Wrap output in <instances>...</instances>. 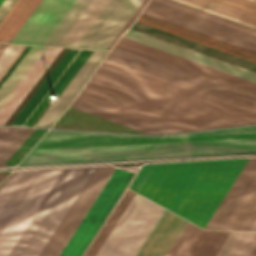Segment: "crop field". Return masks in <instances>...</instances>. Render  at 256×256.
<instances>
[{
  "label": "crop field",
  "instance_id": "obj_1",
  "mask_svg": "<svg viewBox=\"0 0 256 256\" xmlns=\"http://www.w3.org/2000/svg\"><path fill=\"white\" fill-rule=\"evenodd\" d=\"M90 81L220 127L256 123L255 107L108 56ZM90 81L77 98L172 132L217 127ZM77 98L72 102V106L148 133L169 132Z\"/></svg>",
  "mask_w": 256,
  "mask_h": 256
},
{
  "label": "crop field",
  "instance_id": "obj_2",
  "mask_svg": "<svg viewBox=\"0 0 256 256\" xmlns=\"http://www.w3.org/2000/svg\"><path fill=\"white\" fill-rule=\"evenodd\" d=\"M96 168L43 169L0 232V256H39Z\"/></svg>",
  "mask_w": 256,
  "mask_h": 256
},
{
  "label": "crop field",
  "instance_id": "obj_3",
  "mask_svg": "<svg viewBox=\"0 0 256 256\" xmlns=\"http://www.w3.org/2000/svg\"><path fill=\"white\" fill-rule=\"evenodd\" d=\"M209 161L143 165L129 189L178 210ZM256 219V158H249L204 226L249 230Z\"/></svg>",
  "mask_w": 256,
  "mask_h": 256
},
{
  "label": "crop field",
  "instance_id": "obj_4",
  "mask_svg": "<svg viewBox=\"0 0 256 256\" xmlns=\"http://www.w3.org/2000/svg\"><path fill=\"white\" fill-rule=\"evenodd\" d=\"M189 156L187 134L137 136L49 130L19 165Z\"/></svg>",
  "mask_w": 256,
  "mask_h": 256
},
{
  "label": "crop field",
  "instance_id": "obj_5",
  "mask_svg": "<svg viewBox=\"0 0 256 256\" xmlns=\"http://www.w3.org/2000/svg\"><path fill=\"white\" fill-rule=\"evenodd\" d=\"M137 170L98 166L40 256H82Z\"/></svg>",
  "mask_w": 256,
  "mask_h": 256
},
{
  "label": "crop field",
  "instance_id": "obj_6",
  "mask_svg": "<svg viewBox=\"0 0 256 256\" xmlns=\"http://www.w3.org/2000/svg\"><path fill=\"white\" fill-rule=\"evenodd\" d=\"M187 222L142 197L107 256H166ZM200 231L188 222L167 256H184Z\"/></svg>",
  "mask_w": 256,
  "mask_h": 256
},
{
  "label": "crop field",
  "instance_id": "obj_7",
  "mask_svg": "<svg viewBox=\"0 0 256 256\" xmlns=\"http://www.w3.org/2000/svg\"><path fill=\"white\" fill-rule=\"evenodd\" d=\"M246 160L210 161L176 214L203 228Z\"/></svg>",
  "mask_w": 256,
  "mask_h": 256
},
{
  "label": "crop field",
  "instance_id": "obj_8",
  "mask_svg": "<svg viewBox=\"0 0 256 256\" xmlns=\"http://www.w3.org/2000/svg\"><path fill=\"white\" fill-rule=\"evenodd\" d=\"M142 14L256 53V36L178 8L150 0Z\"/></svg>",
  "mask_w": 256,
  "mask_h": 256
},
{
  "label": "crop field",
  "instance_id": "obj_9",
  "mask_svg": "<svg viewBox=\"0 0 256 256\" xmlns=\"http://www.w3.org/2000/svg\"><path fill=\"white\" fill-rule=\"evenodd\" d=\"M92 50L69 48L11 125L29 126L52 95H59Z\"/></svg>",
  "mask_w": 256,
  "mask_h": 256
},
{
  "label": "crop field",
  "instance_id": "obj_10",
  "mask_svg": "<svg viewBox=\"0 0 256 256\" xmlns=\"http://www.w3.org/2000/svg\"><path fill=\"white\" fill-rule=\"evenodd\" d=\"M190 156L256 152V125L188 134Z\"/></svg>",
  "mask_w": 256,
  "mask_h": 256
},
{
  "label": "crop field",
  "instance_id": "obj_11",
  "mask_svg": "<svg viewBox=\"0 0 256 256\" xmlns=\"http://www.w3.org/2000/svg\"><path fill=\"white\" fill-rule=\"evenodd\" d=\"M76 0H42L11 42L43 45Z\"/></svg>",
  "mask_w": 256,
  "mask_h": 256
},
{
  "label": "crop field",
  "instance_id": "obj_12",
  "mask_svg": "<svg viewBox=\"0 0 256 256\" xmlns=\"http://www.w3.org/2000/svg\"><path fill=\"white\" fill-rule=\"evenodd\" d=\"M116 45L256 94V83L121 36Z\"/></svg>",
  "mask_w": 256,
  "mask_h": 256
},
{
  "label": "crop field",
  "instance_id": "obj_13",
  "mask_svg": "<svg viewBox=\"0 0 256 256\" xmlns=\"http://www.w3.org/2000/svg\"><path fill=\"white\" fill-rule=\"evenodd\" d=\"M108 51L93 50L36 126L49 127L70 104Z\"/></svg>",
  "mask_w": 256,
  "mask_h": 256
},
{
  "label": "crop field",
  "instance_id": "obj_14",
  "mask_svg": "<svg viewBox=\"0 0 256 256\" xmlns=\"http://www.w3.org/2000/svg\"><path fill=\"white\" fill-rule=\"evenodd\" d=\"M123 36L256 82V73L129 29Z\"/></svg>",
  "mask_w": 256,
  "mask_h": 256
},
{
  "label": "crop field",
  "instance_id": "obj_15",
  "mask_svg": "<svg viewBox=\"0 0 256 256\" xmlns=\"http://www.w3.org/2000/svg\"><path fill=\"white\" fill-rule=\"evenodd\" d=\"M41 171L42 169L13 172L0 186V230Z\"/></svg>",
  "mask_w": 256,
  "mask_h": 256
},
{
  "label": "crop field",
  "instance_id": "obj_16",
  "mask_svg": "<svg viewBox=\"0 0 256 256\" xmlns=\"http://www.w3.org/2000/svg\"><path fill=\"white\" fill-rule=\"evenodd\" d=\"M61 48L48 47L21 84L0 110V125H3Z\"/></svg>",
  "mask_w": 256,
  "mask_h": 256
},
{
  "label": "crop field",
  "instance_id": "obj_17",
  "mask_svg": "<svg viewBox=\"0 0 256 256\" xmlns=\"http://www.w3.org/2000/svg\"><path fill=\"white\" fill-rule=\"evenodd\" d=\"M108 56L117 58L119 60H122V61L134 64V65L140 66L142 68H145V69H148V70H151V71L163 74L165 76H168V77H171V78H174V79L186 82L188 84H191V85H194V86H197V87L209 90L211 92H214V93H217V94H220V95H223V96H226V97L232 98L234 100H237V101H240V102H243V103H246V104H249V105H252V106L256 107V100H253L251 98H248V97H245V96L233 93L231 91H228V90H225V89H222V88L210 85L208 83H205V82H202V81H199V80L187 77L185 75H182V74H179V73L167 70L165 68H162V67H159V66H156V65L144 62L142 60H139V59H136V58L124 55L122 53H119V52L111 50L110 53L108 54Z\"/></svg>",
  "mask_w": 256,
  "mask_h": 256
},
{
  "label": "crop field",
  "instance_id": "obj_18",
  "mask_svg": "<svg viewBox=\"0 0 256 256\" xmlns=\"http://www.w3.org/2000/svg\"><path fill=\"white\" fill-rule=\"evenodd\" d=\"M142 0H123L88 48L106 49Z\"/></svg>",
  "mask_w": 256,
  "mask_h": 256
},
{
  "label": "crop field",
  "instance_id": "obj_19",
  "mask_svg": "<svg viewBox=\"0 0 256 256\" xmlns=\"http://www.w3.org/2000/svg\"><path fill=\"white\" fill-rule=\"evenodd\" d=\"M137 21L146 23L148 25H151V26H154V27L166 30L168 32H171V33H174V34L186 37L188 39H191V40H194V41H197V42L209 45L211 47H214V48H217V49H220V50L229 52L231 54H234V55H237V56H240V57H243V58H246V59H249L251 61L256 62V54H253L251 52H248V51H245V50L233 47L231 45H228V44H225V43L213 40L211 38H208V37H205V36L193 33L191 31H188V30H185V29L173 26L171 24H168V23H165V22L153 19L151 17H148V16H145V15L141 14L139 16V18L137 19Z\"/></svg>",
  "mask_w": 256,
  "mask_h": 256
},
{
  "label": "crop field",
  "instance_id": "obj_20",
  "mask_svg": "<svg viewBox=\"0 0 256 256\" xmlns=\"http://www.w3.org/2000/svg\"><path fill=\"white\" fill-rule=\"evenodd\" d=\"M41 0H17L0 22V42H10Z\"/></svg>",
  "mask_w": 256,
  "mask_h": 256
},
{
  "label": "crop field",
  "instance_id": "obj_21",
  "mask_svg": "<svg viewBox=\"0 0 256 256\" xmlns=\"http://www.w3.org/2000/svg\"><path fill=\"white\" fill-rule=\"evenodd\" d=\"M224 18L256 28V15L213 0H175Z\"/></svg>",
  "mask_w": 256,
  "mask_h": 256
},
{
  "label": "crop field",
  "instance_id": "obj_22",
  "mask_svg": "<svg viewBox=\"0 0 256 256\" xmlns=\"http://www.w3.org/2000/svg\"><path fill=\"white\" fill-rule=\"evenodd\" d=\"M47 47L32 46L0 88V108L30 71Z\"/></svg>",
  "mask_w": 256,
  "mask_h": 256
},
{
  "label": "crop field",
  "instance_id": "obj_23",
  "mask_svg": "<svg viewBox=\"0 0 256 256\" xmlns=\"http://www.w3.org/2000/svg\"><path fill=\"white\" fill-rule=\"evenodd\" d=\"M256 246V232L230 231L215 256H249Z\"/></svg>",
  "mask_w": 256,
  "mask_h": 256
},
{
  "label": "crop field",
  "instance_id": "obj_24",
  "mask_svg": "<svg viewBox=\"0 0 256 256\" xmlns=\"http://www.w3.org/2000/svg\"><path fill=\"white\" fill-rule=\"evenodd\" d=\"M109 0H92L58 46L74 47ZM80 28L73 38H70Z\"/></svg>",
  "mask_w": 256,
  "mask_h": 256
},
{
  "label": "crop field",
  "instance_id": "obj_25",
  "mask_svg": "<svg viewBox=\"0 0 256 256\" xmlns=\"http://www.w3.org/2000/svg\"><path fill=\"white\" fill-rule=\"evenodd\" d=\"M229 231L202 229L185 256H214Z\"/></svg>",
  "mask_w": 256,
  "mask_h": 256
},
{
  "label": "crop field",
  "instance_id": "obj_26",
  "mask_svg": "<svg viewBox=\"0 0 256 256\" xmlns=\"http://www.w3.org/2000/svg\"><path fill=\"white\" fill-rule=\"evenodd\" d=\"M33 130L0 127V165L8 160Z\"/></svg>",
  "mask_w": 256,
  "mask_h": 256
},
{
  "label": "crop field",
  "instance_id": "obj_27",
  "mask_svg": "<svg viewBox=\"0 0 256 256\" xmlns=\"http://www.w3.org/2000/svg\"><path fill=\"white\" fill-rule=\"evenodd\" d=\"M113 50L122 52V53H124V54H127V55H130V56H133V57L142 59V60H144V61H147V62L156 64V65L165 67V68H167V69H170V70H173V71H176V72L185 74V75H187V76H190V77H193V78H196V79H199V80L208 82V83H210V84H213V85H216V86H219V87H222V88L231 90V91H233V92H236V93H239V94H242V95L251 97V98H253V99H256V95L253 94V93H250V92H247V91L238 89V88H236V87H233V86H230V85H227V84L218 82V81H216V80H213V79H210V78H207V77L198 75V74H196V73H193V72H190V71L181 69V68H179V67H176V66H173V65L164 63V62H161V61H159V60H156V59H153V58L144 56V55H142V54H139V53H136V52L127 50V49H124V48H122V47H119V46L114 45Z\"/></svg>",
  "mask_w": 256,
  "mask_h": 256
},
{
  "label": "crop field",
  "instance_id": "obj_28",
  "mask_svg": "<svg viewBox=\"0 0 256 256\" xmlns=\"http://www.w3.org/2000/svg\"><path fill=\"white\" fill-rule=\"evenodd\" d=\"M134 193L135 192L127 189V191L125 192V194L113 210L112 214L110 215V217L108 218V220L106 221V223L104 224V226L102 227V229L100 230V232L98 233V235L96 236V238L94 239L93 243L91 244V246L89 247L88 251L84 256H95L98 249L104 242L105 238L113 228L114 224L122 214L123 210L131 200Z\"/></svg>",
  "mask_w": 256,
  "mask_h": 256
},
{
  "label": "crop field",
  "instance_id": "obj_29",
  "mask_svg": "<svg viewBox=\"0 0 256 256\" xmlns=\"http://www.w3.org/2000/svg\"><path fill=\"white\" fill-rule=\"evenodd\" d=\"M31 46L8 44L0 55V86Z\"/></svg>",
  "mask_w": 256,
  "mask_h": 256
},
{
  "label": "crop field",
  "instance_id": "obj_30",
  "mask_svg": "<svg viewBox=\"0 0 256 256\" xmlns=\"http://www.w3.org/2000/svg\"><path fill=\"white\" fill-rule=\"evenodd\" d=\"M91 0H77L44 45L57 46Z\"/></svg>",
  "mask_w": 256,
  "mask_h": 256
},
{
  "label": "crop field",
  "instance_id": "obj_31",
  "mask_svg": "<svg viewBox=\"0 0 256 256\" xmlns=\"http://www.w3.org/2000/svg\"><path fill=\"white\" fill-rule=\"evenodd\" d=\"M122 0H110L75 47L87 48Z\"/></svg>",
  "mask_w": 256,
  "mask_h": 256
},
{
  "label": "crop field",
  "instance_id": "obj_32",
  "mask_svg": "<svg viewBox=\"0 0 256 256\" xmlns=\"http://www.w3.org/2000/svg\"><path fill=\"white\" fill-rule=\"evenodd\" d=\"M141 197L142 196H140V195L135 193V195L133 196L132 200L130 201V203L128 204L126 209L124 210L123 214L121 215V217L119 218V220L115 224L114 228L112 229V231L108 235L107 239L105 240V242L103 243V245L99 249V251L96 254V256H106L107 252L109 251L110 247L112 246V244L114 243L115 239L119 235L120 231L122 230L123 226L127 222V220L130 217L131 213L133 212V210L135 209L136 205L140 201Z\"/></svg>",
  "mask_w": 256,
  "mask_h": 256
},
{
  "label": "crop field",
  "instance_id": "obj_33",
  "mask_svg": "<svg viewBox=\"0 0 256 256\" xmlns=\"http://www.w3.org/2000/svg\"><path fill=\"white\" fill-rule=\"evenodd\" d=\"M46 130L35 129L6 163L19 162Z\"/></svg>",
  "mask_w": 256,
  "mask_h": 256
},
{
  "label": "crop field",
  "instance_id": "obj_34",
  "mask_svg": "<svg viewBox=\"0 0 256 256\" xmlns=\"http://www.w3.org/2000/svg\"><path fill=\"white\" fill-rule=\"evenodd\" d=\"M158 1H161V2H163V3H166V4H169V5H172V6H175V7L184 9V10H187V11H189V12H192V13H195V14H198V15H201V16H204V17H207V18H210V19H212V20H215V21H218V22H221V23H224V24H227V25L236 27V28H238V29H241V30H244V31L253 33V34H256V30H253V29H250V28H247V27L238 25V24H236V23H233V22H230V21H227V20H224V19L215 17V16H213V15H210V14H207V13H204V12H201V11H198V10H195V9H192V8H190V7H187V6H184V5H181V4H178V3H175V2L169 1V0H158Z\"/></svg>",
  "mask_w": 256,
  "mask_h": 256
},
{
  "label": "crop field",
  "instance_id": "obj_35",
  "mask_svg": "<svg viewBox=\"0 0 256 256\" xmlns=\"http://www.w3.org/2000/svg\"><path fill=\"white\" fill-rule=\"evenodd\" d=\"M216 1L256 14V0H216Z\"/></svg>",
  "mask_w": 256,
  "mask_h": 256
},
{
  "label": "crop field",
  "instance_id": "obj_36",
  "mask_svg": "<svg viewBox=\"0 0 256 256\" xmlns=\"http://www.w3.org/2000/svg\"><path fill=\"white\" fill-rule=\"evenodd\" d=\"M148 0H143L142 3L139 5V7L136 9V11L133 13V15L130 17V19L127 21V23L123 26V28L120 30V32L117 34V36L114 38V40L111 42V44L108 46L107 49H111V47L114 45V43L117 41V39L133 24L139 13L142 11L144 6Z\"/></svg>",
  "mask_w": 256,
  "mask_h": 256
},
{
  "label": "crop field",
  "instance_id": "obj_37",
  "mask_svg": "<svg viewBox=\"0 0 256 256\" xmlns=\"http://www.w3.org/2000/svg\"><path fill=\"white\" fill-rule=\"evenodd\" d=\"M15 0H4V2L0 6V20L4 16V14L8 11L11 5Z\"/></svg>",
  "mask_w": 256,
  "mask_h": 256
},
{
  "label": "crop field",
  "instance_id": "obj_38",
  "mask_svg": "<svg viewBox=\"0 0 256 256\" xmlns=\"http://www.w3.org/2000/svg\"><path fill=\"white\" fill-rule=\"evenodd\" d=\"M7 44L0 43V53L3 51V49L6 47Z\"/></svg>",
  "mask_w": 256,
  "mask_h": 256
},
{
  "label": "crop field",
  "instance_id": "obj_39",
  "mask_svg": "<svg viewBox=\"0 0 256 256\" xmlns=\"http://www.w3.org/2000/svg\"><path fill=\"white\" fill-rule=\"evenodd\" d=\"M250 230H256V221L254 222V224L252 225V227L250 228Z\"/></svg>",
  "mask_w": 256,
  "mask_h": 256
},
{
  "label": "crop field",
  "instance_id": "obj_40",
  "mask_svg": "<svg viewBox=\"0 0 256 256\" xmlns=\"http://www.w3.org/2000/svg\"><path fill=\"white\" fill-rule=\"evenodd\" d=\"M250 256H256V247H255V249L253 250V252L251 253Z\"/></svg>",
  "mask_w": 256,
  "mask_h": 256
},
{
  "label": "crop field",
  "instance_id": "obj_41",
  "mask_svg": "<svg viewBox=\"0 0 256 256\" xmlns=\"http://www.w3.org/2000/svg\"><path fill=\"white\" fill-rule=\"evenodd\" d=\"M3 176H4L3 174H0V180H1V178H2ZM6 176H7V175H5V176L3 177V179H4ZM3 179H2V180H3ZM2 180H1V181H2ZM1 181H0V182H1Z\"/></svg>",
  "mask_w": 256,
  "mask_h": 256
},
{
  "label": "crop field",
  "instance_id": "obj_42",
  "mask_svg": "<svg viewBox=\"0 0 256 256\" xmlns=\"http://www.w3.org/2000/svg\"><path fill=\"white\" fill-rule=\"evenodd\" d=\"M3 2V0H0V4Z\"/></svg>",
  "mask_w": 256,
  "mask_h": 256
}]
</instances>
